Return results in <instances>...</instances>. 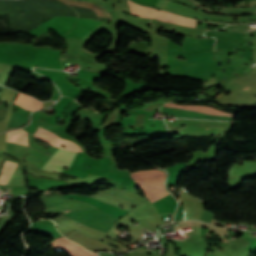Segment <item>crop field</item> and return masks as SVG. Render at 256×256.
Masks as SVG:
<instances>
[{"label":"crop field","mask_w":256,"mask_h":256,"mask_svg":"<svg viewBox=\"0 0 256 256\" xmlns=\"http://www.w3.org/2000/svg\"><path fill=\"white\" fill-rule=\"evenodd\" d=\"M145 174L152 181L155 187L159 190L163 197L169 195L165 186H164V178L166 173L159 171L157 169L153 170H145ZM140 172L132 173L133 180L138 184V186L143 191L144 195L151 201V203L163 198L158 190L154 187V185L150 182L147 176ZM136 184V185H137Z\"/></svg>","instance_id":"1"},{"label":"crop field","mask_w":256,"mask_h":256,"mask_svg":"<svg viewBox=\"0 0 256 256\" xmlns=\"http://www.w3.org/2000/svg\"><path fill=\"white\" fill-rule=\"evenodd\" d=\"M128 3H129L131 13L133 15L146 17V18H156L158 20H162V21H166L174 24L195 27V20L184 18L170 12L139 6L129 0H128Z\"/></svg>","instance_id":"2"},{"label":"crop field","mask_w":256,"mask_h":256,"mask_svg":"<svg viewBox=\"0 0 256 256\" xmlns=\"http://www.w3.org/2000/svg\"><path fill=\"white\" fill-rule=\"evenodd\" d=\"M77 152L59 148L42 170L61 172L62 166L70 168Z\"/></svg>","instance_id":"3"},{"label":"crop field","mask_w":256,"mask_h":256,"mask_svg":"<svg viewBox=\"0 0 256 256\" xmlns=\"http://www.w3.org/2000/svg\"><path fill=\"white\" fill-rule=\"evenodd\" d=\"M161 110L165 113L177 116V117H184V118H198V119H230L231 117H221V116H213V115H204L199 114L196 112L191 111H185V110H178V109H172V108H165L162 107Z\"/></svg>","instance_id":"4"},{"label":"crop field","mask_w":256,"mask_h":256,"mask_svg":"<svg viewBox=\"0 0 256 256\" xmlns=\"http://www.w3.org/2000/svg\"><path fill=\"white\" fill-rule=\"evenodd\" d=\"M15 167H16V164L8 162L6 160L4 161L3 166L1 168V173H0V183L7 184Z\"/></svg>","instance_id":"5"},{"label":"crop field","mask_w":256,"mask_h":256,"mask_svg":"<svg viewBox=\"0 0 256 256\" xmlns=\"http://www.w3.org/2000/svg\"><path fill=\"white\" fill-rule=\"evenodd\" d=\"M26 135H27V132H25L22 129L8 132L7 141H14L27 146Z\"/></svg>","instance_id":"6"},{"label":"crop field","mask_w":256,"mask_h":256,"mask_svg":"<svg viewBox=\"0 0 256 256\" xmlns=\"http://www.w3.org/2000/svg\"><path fill=\"white\" fill-rule=\"evenodd\" d=\"M41 128V127H40ZM40 128L38 129V131L40 130ZM38 131L35 133V136L36 134L38 133ZM38 137L46 140V141H49L51 143H54L56 145H59L61 146V141H62V138L41 128V130L39 131V133L37 134Z\"/></svg>","instance_id":"7"},{"label":"crop field","mask_w":256,"mask_h":256,"mask_svg":"<svg viewBox=\"0 0 256 256\" xmlns=\"http://www.w3.org/2000/svg\"><path fill=\"white\" fill-rule=\"evenodd\" d=\"M27 123V118L23 117L22 115L13 112L12 118L9 122L8 129H11L13 127H18L25 125Z\"/></svg>","instance_id":"8"},{"label":"crop field","mask_w":256,"mask_h":256,"mask_svg":"<svg viewBox=\"0 0 256 256\" xmlns=\"http://www.w3.org/2000/svg\"><path fill=\"white\" fill-rule=\"evenodd\" d=\"M52 245L54 248H67L72 246H77L74 242H70L69 240L65 239L64 237H60L52 241Z\"/></svg>","instance_id":"9"},{"label":"crop field","mask_w":256,"mask_h":256,"mask_svg":"<svg viewBox=\"0 0 256 256\" xmlns=\"http://www.w3.org/2000/svg\"><path fill=\"white\" fill-rule=\"evenodd\" d=\"M191 228V231H189V232H185V234H199V235H204L206 232H207V230L206 229H204V228H200V227H190Z\"/></svg>","instance_id":"10"},{"label":"crop field","mask_w":256,"mask_h":256,"mask_svg":"<svg viewBox=\"0 0 256 256\" xmlns=\"http://www.w3.org/2000/svg\"><path fill=\"white\" fill-rule=\"evenodd\" d=\"M77 248H79V247H73V248L62 249V250H64V251L68 254V253H70V252L76 250Z\"/></svg>","instance_id":"11"},{"label":"crop field","mask_w":256,"mask_h":256,"mask_svg":"<svg viewBox=\"0 0 256 256\" xmlns=\"http://www.w3.org/2000/svg\"><path fill=\"white\" fill-rule=\"evenodd\" d=\"M61 62L63 64V66L66 65V60H65V55L63 54L62 57H61Z\"/></svg>","instance_id":"12"},{"label":"crop field","mask_w":256,"mask_h":256,"mask_svg":"<svg viewBox=\"0 0 256 256\" xmlns=\"http://www.w3.org/2000/svg\"><path fill=\"white\" fill-rule=\"evenodd\" d=\"M184 225H185V226H188L187 223H185ZM180 226H182V225H180Z\"/></svg>","instance_id":"13"},{"label":"crop field","mask_w":256,"mask_h":256,"mask_svg":"<svg viewBox=\"0 0 256 256\" xmlns=\"http://www.w3.org/2000/svg\"><path fill=\"white\" fill-rule=\"evenodd\" d=\"M184 218H185V214H184Z\"/></svg>","instance_id":"14"}]
</instances>
